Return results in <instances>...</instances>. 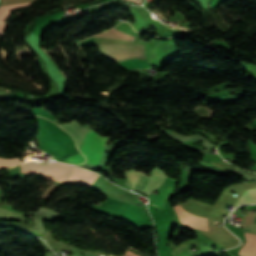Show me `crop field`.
I'll return each instance as SVG.
<instances>
[{
    "label": "crop field",
    "mask_w": 256,
    "mask_h": 256,
    "mask_svg": "<svg viewBox=\"0 0 256 256\" xmlns=\"http://www.w3.org/2000/svg\"><path fill=\"white\" fill-rule=\"evenodd\" d=\"M60 125V124H58ZM67 130L75 139L79 151H81L86 158L88 157L90 146L95 138L96 132L92 131L88 126L81 127L80 124L73 121L64 125H60ZM108 138L96 135V138L91 146L88 163L99 165L100 158Z\"/></svg>",
    "instance_id": "8a807250"
},
{
    "label": "crop field",
    "mask_w": 256,
    "mask_h": 256,
    "mask_svg": "<svg viewBox=\"0 0 256 256\" xmlns=\"http://www.w3.org/2000/svg\"><path fill=\"white\" fill-rule=\"evenodd\" d=\"M151 172L152 176L149 179V177H147L146 175L140 172H136L133 169L126 171V186L138 192H142L144 185L149 179L143 190V193L149 195L152 192L151 190L158 188L165 178L164 173L156 167H154Z\"/></svg>",
    "instance_id": "ac0d7876"
},
{
    "label": "crop field",
    "mask_w": 256,
    "mask_h": 256,
    "mask_svg": "<svg viewBox=\"0 0 256 256\" xmlns=\"http://www.w3.org/2000/svg\"><path fill=\"white\" fill-rule=\"evenodd\" d=\"M134 225H136L141 230L153 226L152 222L149 220L144 210L140 206L131 205L121 216Z\"/></svg>",
    "instance_id": "34b2d1b8"
},
{
    "label": "crop field",
    "mask_w": 256,
    "mask_h": 256,
    "mask_svg": "<svg viewBox=\"0 0 256 256\" xmlns=\"http://www.w3.org/2000/svg\"><path fill=\"white\" fill-rule=\"evenodd\" d=\"M175 209L179 219L184 225L188 227L196 228V229L207 230L206 218L196 216L185 211L181 205L175 206ZM218 224L219 222H217V225Z\"/></svg>",
    "instance_id": "412701ff"
},
{
    "label": "crop field",
    "mask_w": 256,
    "mask_h": 256,
    "mask_svg": "<svg viewBox=\"0 0 256 256\" xmlns=\"http://www.w3.org/2000/svg\"><path fill=\"white\" fill-rule=\"evenodd\" d=\"M195 246L199 251L211 253L213 250L210 247L204 246L195 240H187L181 243L178 247L171 250L174 256H200L202 253L193 254L188 248Z\"/></svg>",
    "instance_id": "f4fd0767"
},
{
    "label": "crop field",
    "mask_w": 256,
    "mask_h": 256,
    "mask_svg": "<svg viewBox=\"0 0 256 256\" xmlns=\"http://www.w3.org/2000/svg\"><path fill=\"white\" fill-rule=\"evenodd\" d=\"M176 183V180L167 177L165 183L161 185L158 190H156L159 192V194L151 195L150 203L162 208L166 197L169 196L174 191Z\"/></svg>",
    "instance_id": "dd49c442"
},
{
    "label": "crop field",
    "mask_w": 256,
    "mask_h": 256,
    "mask_svg": "<svg viewBox=\"0 0 256 256\" xmlns=\"http://www.w3.org/2000/svg\"><path fill=\"white\" fill-rule=\"evenodd\" d=\"M256 202V189L247 190L235 203L236 206L243 203Z\"/></svg>",
    "instance_id": "e52e79f7"
},
{
    "label": "crop field",
    "mask_w": 256,
    "mask_h": 256,
    "mask_svg": "<svg viewBox=\"0 0 256 256\" xmlns=\"http://www.w3.org/2000/svg\"><path fill=\"white\" fill-rule=\"evenodd\" d=\"M119 64L122 65L124 68H127V69L148 68L147 61L138 60V59L127 60V61L121 62Z\"/></svg>",
    "instance_id": "d8731c3e"
},
{
    "label": "crop field",
    "mask_w": 256,
    "mask_h": 256,
    "mask_svg": "<svg viewBox=\"0 0 256 256\" xmlns=\"http://www.w3.org/2000/svg\"><path fill=\"white\" fill-rule=\"evenodd\" d=\"M27 5H30V4H27ZM27 5L0 7V22H3L8 17V15L10 14L9 11L19 7L27 6Z\"/></svg>",
    "instance_id": "5a996713"
},
{
    "label": "crop field",
    "mask_w": 256,
    "mask_h": 256,
    "mask_svg": "<svg viewBox=\"0 0 256 256\" xmlns=\"http://www.w3.org/2000/svg\"><path fill=\"white\" fill-rule=\"evenodd\" d=\"M68 162L74 163V164H82L85 162V158L81 153L76 154L74 156H70L67 159H65Z\"/></svg>",
    "instance_id": "3316defc"
},
{
    "label": "crop field",
    "mask_w": 256,
    "mask_h": 256,
    "mask_svg": "<svg viewBox=\"0 0 256 256\" xmlns=\"http://www.w3.org/2000/svg\"><path fill=\"white\" fill-rule=\"evenodd\" d=\"M6 23H0V34L3 32Z\"/></svg>",
    "instance_id": "28ad6ade"
}]
</instances>
